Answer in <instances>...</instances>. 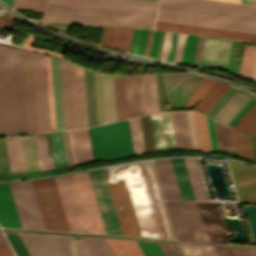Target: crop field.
<instances>
[{
    "mask_svg": "<svg viewBox=\"0 0 256 256\" xmlns=\"http://www.w3.org/2000/svg\"><path fill=\"white\" fill-rule=\"evenodd\" d=\"M28 133L37 132L31 52L21 50Z\"/></svg>",
    "mask_w": 256,
    "mask_h": 256,
    "instance_id": "733c2abd",
    "label": "crop field"
},
{
    "mask_svg": "<svg viewBox=\"0 0 256 256\" xmlns=\"http://www.w3.org/2000/svg\"><path fill=\"white\" fill-rule=\"evenodd\" d=\"M164 256H183L176 244H161L158 243Z\"/></svg>",
    "mask_w": 256,
    "mask_h": 256,
    "instance_id": "1d79db26",
    "label": "crop field"
},
{
    "mask_svg": "<svg viewBox=\"0 0 256 256\" xmlns=\"http://www.w3.org/2000/svg\"><path fill=\"white\" fill-rule=\"evenodd\" d=\"M182 200H195L183 158L171 159Z\"/></svg>",
    "mask_w": 256,
    "mask_h": 256,
    "instance_id": "eef30255",
    "label": "crop field"
},
{
    "mask_svg": "<svg viewBox=\"0 0 256 256\" xmlns=\"http://www.w3.org/2000/svg\"><path fill=\"white\" fill-rule=\"evenodd\" d=\"M115 256H143L136 241L106 239Z\"/></svg>",
    "mask_w": 256,
    "mask_h": 256,
    "instance_id": "5866460e",
    "label": "crop field"
},
{
    "mask_svg": "<svg viewBox=\"0 0 256 256\" xmlns=\"http://www.w3.org/2000/svg\"><path fill=\"white\" fill-rule=\"evenodd\" d=\"M55 179L69 230L106 234L89 173L73 174Z\"/></svg>",
    "mask_w": 256,
    "mask_h": 256,
    "instance_id": "ac0d7876",
    "label": "crop field"
},
{
    "mask_svg": "<svg viewBox=\"0 0 256 256\" xmlns=\"http://www.w3.org/2000/svg\"><path fill=\"white\" fill-rule=\"evenodd\" d=\"M220 150H235L230 127L215 120Z\"/></svg>",
    "mask_w": 256,
    "mask_h": 256,
    "instance_id": "b54c1fbb",
    "label": "crop field"
},
{
    "mask_svg": "<svg viewBox=\"0 0 256 256\" xmlns=\"http://www.w3.org/2000/svg\"><path fill=\"white\" fill-rule=\"evenodd\" d=\"M129 123H130L134 153L137 154V153L145 152L139 117L130 119Z\"/></svg>",
    "mask_w": 256,
    "mask_h": 256,
    "instance_id": "5d738f31",
    "label": "crop field"
},
{
    "mask_svg": "<svg viewBox=\"0 0 256 256\" xmlns=\"http://www.w3.org/2000/svg\"><path fill=\"white\" fill-rule=\"evenodd\" d=\"M186 114H187V120H188V125H189L192 148H193V150L198 151L196 137H195V131H194V125H193V119H192V113H191V111H188V112H186Z\"/></svg>",
    "mask_w": 256,
    "mask_h": 256,
    "instance_id": "7b73153f",
    "label": "crop field"
},
{
    "mask_svg": "<svg viewBox=\"0 0 256 256\" xmlns=\"http://www.w3.org/2000/svg\"><path fill=\"white\" fill-rule=\"evenodd\" d=\"M27 133L20 50L0 45V135Z\"/></svg>",
    "mask_w": 256,
    "mask_h": 256,
    "instance_id": "8a807250",
    "label": "crop field"
},
{
    "mask_svg": "<svg viewBox=\"0 0 256 256\" xmlns=\"http://www.w3.org/2000/svg\"><path fill=\"white\" fill-rule=\"evenodd\" d=\"M107 122L116 121L112 76L103 74Z\"/></svg>",
    "mask_w": 256,
    "mask_h": 256,
    "instance_id": "c21b1889",
    "label": "crop field"
},
{
    "mask_svg": "<svg viewBox=\"0 0 256 256\" xmlns=\"http://www.w3.org/2000/svg\"><path fill=\"white\" fill-rule=\"evenodd\" d=\"M219 256H234L230 247L214 246Z\"/></svg>",
    "mask_w": 256,
    "mask_h": 256,
    "instance_id": "c39391a2",
    "label": "crop field"
},
{
    "mask_svg": "<svg viewBox=\"0 0 256 256\" xmlns=\"http://www.w3.org/2000/svg\"><path fill=\"white\" fill-rule=\"evenodd\" d=\"M256 47L245 46L239 73L250 78Z\"/></svg>",
    "mask_w": 256,
    "mask_h": 256,
    "instance_id": "425ffa30",
    "label": "crop field"
},
{
    "mask_svg": "<svg viewBox=\"0 0 256 256\" xmlns=\"http://www.w3.org/2000/svg\"><path fill=\"white\" fill-rule=\"evenodd\" d=\"M11 173L25 172L19 138L6 139Z\"/></svg>",
    "mask_w": 256,
    "mask_h": 256,
    "instance_id": "d32e631a",
    "label": "crop field"
},
{
    "mask_svg": "<svg viewBox=\"0 0 256 256\" xmlns=\"http://www.w3.org/2000/svg\"><path fill=\"white\" fill-rule=\"evenodd\" d=\"M155 28L173 30V31H179V32H186V33H193V34H200V35H207V36H214V37H221V38L234 39V40H241V41H248V42H255L256 43V35H250V34L229 32V31H222V30H215V29H208V28H201V27H194V26H187V25H180V24H173V23H166V22H159V21H156Z\"/></svg>",
    "mask_w": 256,
    "mask_h": 256,
    "instance_id": "92a150f3",
    "label": "crop field"
},
{
    "mask_svg": "<svg viewBox=\"0 0 256 256\" xmlns=\"http://www.w3.org/2000/svg\"><path fill=\"white\" fill-rule=\"evenodd\" d=\"M229 163L239 202H256V167L233 161Z\"/></svg>",
    "mask_w": 256,
    "mask_h": 256,
    "instance_id": "5142ce71",
    "label": "crop field"
},
{
    "mask_svg": "<svg viewBox=\"0 0 256 256\" xmlns=\"http://www.w3.org/2000/svg\"><path fill=\"white\" fill-rule=\"evenodd\" d=\"M158 0H49L48 4L156 12Z\"/></svg>",
    "mask_w": 256,
    "mask_h": 256,
    "instance_id": "cbeb9de0",
    "label": "crop field"
},
{
    "mask_svg": "<svg viewBox=\"0 0 256 256\" xmlns=\"http://www.w3.org/2000/svg\"><path fill=\"white\" fill-rule=\"evenodd\" d=\"M2 1H4L6 4H8L11 7L13 6L14 0H2Z\"/></svg>",
    "mask_w": 256,
    "mask_h": 256,
    "instance_id": "819c52e7",
    "label": "crop field"
},
{
    "mask_svg": "<svg viewBox=\"0 0 256 256\" xmlns=\"http://www.w3.org/2000/svg\"><path fill=\"white\" fill-rule=\"evenodd\" d=\"M38 132L50 131L44 55L33 53Z\"/></svg>",
    "mask_w": 256,
    "mask_h": 256,
    "instance_id": "28ad6ade",
    "label": "crop field"
},
{
    "mask_svg": "<svg viewBox=\"0 0 256 256\" xmlns=\"http://www.w3.org/2000/svg\"><path fill=\"white\" fill-rule=\"evenodd\" d=\"M98 125L105 123L101 75L94 72Z\"/></svg>",
    "mask_w": 256,
    "mask_h": 256,
    "instance_id": "25e5ab78",
    "label": "crop field"
},
{
    "mask_svg": "<svg viewBox=\"0 0 256 256\" xmlns=\"http://www.w3.org/2000/svg\"><path fill=\"white\" fill-rule=\"evenodd\" d=\"M113 81L117 121L145 114L142 76H113Z\"/></svg>",
    "mask_w": 256,
    "mask_h": 256,
    "instance_id": "e52e79f7",
    "label": "crop field"
},
{
    "mask_svg": "<svg viewBox=\"0 0 256 256\" xmlns=\"http://www.w3.org/2000/svg\"><path fill=\"white\" fill-rule=\"evenodd\" d=\"M236 90H237V88H234V87L230 86L224 92V94L211 106V108L205 113V115H208V116L212 117L218 111V109L231 97V95Z\"/></svg>",
    "mask_w": 256,
    "mask_h": 256,
    "instance_id": "1f2cbd36",
    "label": "crop field"
},
{
    "mask_svg": "<svg viewBox=\"0 0 256 256\" xmlns=\"http://www.w3.org/2000/svg\"><path fill=\"white\" fill-rule=\"evenodd\" d=\"M160 187L165 199L181 200L170 159L154 161Z\"/></svg>",
    "mask_w": 256,
    "mask_h": 256,
    "instance_id": "dafd665d",
    "label": "crop field"
},
{
    "mask_svg": "<svg viewBox=\"0 0 256 256\" xmlns=\"http://www.w3.org/2000/svg\"><path fill=\"white\" fill-rule=\"evenodd\" d=\"M22 228L44 230L30 181L9 183Z\"/></svg>",
    "mask_w": 256,
    "mask_h": 256,
    "instance_id": "5a996713",
    "label": "crop field"
},
{
    "mask_svg": "<svg viewBox=\"0 0 256 256\" xmlns=\"http://www.w3.org/2000/svg\"><path fill=\"white\" fill-rule=\"evenodd\" d=\"M256 101V98L253 96L247 104L234 116V118L228 123L230 126H234L236 122L244 115V113L253 105Z\"/></svg>",
    "mask_w": 256,
    "mask_h": 256,
    "instance_id": "447ae74e",
    "label": "crop field"
},
{
    "mask_svg": "<svg viewBox=\"0 0 256 256\" xmlns=\"http://www.w3.org/2000/svg\"><path fill=\"white\" fill-rule=\"evenodd\" d=\"M241 3L254 5L253 0H241Z\"/></svg>",
    "mask_w": 256,
    "mask_h": 256,
    "instance_id": "1f1604b0",
    "label": "crop field"
},
{
    "mask_svg": "<svg viewBox=\"0 0 256 256\" xmlns=\"http://www.w3.org/2000/svg\"><path fill=\"white\" fill-rule=\"evenodd\" d=\"M39 0H15L14 7L16 8H28L37 9Z\"/></svg>",
    "mask_w": 256,
    "mask_h": 256,
    "instance_id": "0765c3eb",
    "label": "crop field"
},
{
    "mask_svg": "<svg viewBox=\"0 0 256 256\" xmlns=\"http://www.w3.org/2000/svg\"><path fill=\"white\" fill-rule=\"evenodd\" d=\"M135 216L142 236L158 237L138 175L125 178ZM124 180L109 182V188L123 235L141 236Z\"/></svg>",
    "mask_w": 256,
    "mask_h": 256,
    "instance_id": "34b2d1b8",
    "label": "crop field"
},
{
    "mask_svg": "<svg viewBox=\"0 0 256 256\" xmlns=\"http://www.w3.org/2000/svg\"><path fill=\"white\" fill-rule=\"evenodd\" d=\"M0 226L21 228L8 183L0 184Z\"/></svg>",
    "mask_w": 256,
    "mask_h": 256,
    "instance_id": "00972430",
    "label": "crop field"
},
{
    "mask_svg": "<svg viewBox=\"0 0 256 256\" xmlns=\"http://www.w3.org/2000/svg\"><path fill=\"white\" fill-rule=\"evenodd\" d=\"M51 131L55 130L50 57L45 55Z\"/></svg>",
    "mask_w": 256,
    "mask_h": 256,
    "instance_id": "89e229c0",
    "label": "crop field"
},
{
    "mask_svg": "<svg viewBox=\"0 0 256 256\" xmlns=\"http://www.w3.org/2000/svg\"><path fill=\"white\" fill-rule=\"evenodd\" d=\"M47 9L155 17L156 13L48 5Z\"/></svg>",
    "mask_w": 256,
    "mask_h": 256,
    "instance_id": "0bd39190",
    "label": "crop field"
},
{
    "mask_svg": "<svg viewBox=\"0 0 256 256\" xmlns=\"http://www.w3.org/2000/svg\"><path fill=\"white\" fill-rule=\"evenodd\" d=\"M20 139L26 171L40 170L34 136L20 137Z\"/></svg>",
    "mask_w": 256,
    "mask_h": 256,
    "instance_id": "1d83c4d3",
    "label": "crop field"
},
{
    "mask_svg": "<svg viewBox=\"0 0 256 256\" xmlns=\"http://www.w3.org/2000/svg\"><path fill=\"white\" fill-rule=\"evenodd\" d=\"M161 31L155 30L149 57L155 58Z\"/></svg>",
    "mask_w": 256,
    "mask_h": 256,
    "instance_id": "d14b1444",
    "label": "crop field"
},
{
    "mask_svg": "<svg viewBox=\"0 0 256 256\" xmlns=\"http://www.w3.org/2000/svg\"><path fill=\"white\" fill-rule=\"evenodd\" d=\"M17 256H29L25 246L23 245L17 233L6 234Z\"/></svg>",
    "mask_w": 256,
    "mask_h": 256,
    "instance_id": "dbb93151",
    "label": "crop field"
},
{
    "mask_svg": "<svg viewBox=\"0 0 256 256\" xmlns=\"http://www.w3.org/2000/svg\"><path fill=\"white\" fill-rule=\"evenodd\" d=\"M165 202L176 239L207 242L195 202Z\"/></svg>",
    "mask_w": 256,
    "mask_h": 256,
    "instance_id": "dd49c442",
    "label": "crop field"
},
{
    "mask_svg": "<svg viewBox=\"0 0 256 256\" xmlns=\"http://www.w3.org/2000/svg\"><path fill=\"white\" fill-rule=\"evenodd\" d=\"M144 165L147 175L141 176V179L150 205L158 236L164 238H172L152 170L151 162H144Z\"/></svg>",
    "mask_w": 256,
    "mask_h": 256,
    "instance_id": "d1516ede",
    "label": "crop field"
},
{
    "mask_svg": "<svg viewBox=\"0 0 256 256\" xmlns=\"http://www.w3.org/2000/svg\"><path fill=\"white\" fill-rule=\"evenodd\" d=\"M253 256H256V249H250Z\"/></svg>",
    "mask_w": 256,
    "mask_h": 256,
    "instance_id": "c821d689",
    "label": "crop field"
},
{
    "mask_svg": "<svg viewBox=\"0 0 256 256\" xmlns=\"http://www.w3.org/2000/svg\"><path fill=\"white\" fill-rule=\"evenodd\" d=\"M159 6L256 19V7L212 0H160Z\"/></svg>",
    "mask_w": 256,
    "mask_h": 256,
    "instance_id": "d8731c3e",
    "label": "crop field"
},
{
    "mask_svg": "<svg viewBox=\"0 0 256 256\" xmlns=\"http://www.w3.org/2000/svg\"><path fill=\"white\" fill-rule=\"evenodd\" d=\"M54 166L67 164L62 131L49 133Z\"/></svg>",
    "mask_w": 256,
    "mask_h": 256,
    "instance_id": "b80d0937",
    "label": "crop field"
},
{
    "mask_svg": "<svg viewBox=\"0 0 256 256\" xmlns=\"http://www.w3.org/2000/svg\"><path fill=\"white\" fill-rule=\"evenodd\" d=\"M196 200H207L194 158H184Z\"/></svg>",
    "mask_w": 256,
    "mask_h": 256,
    "instance_id": "e1f06a70",
    "label": "crop field"
},
{
    "mask_svg": "<svg viewBox=\"0 0 256 256\" xmlns=\"http://www.w3.org/2000/svg\"><path fill=\"white\" fill-rule=\"evenodd\" d=\"M208 242L228 243L216 202H196Z\"/></svg>",
    "mask_w": 256,
    "mask_h": 256,
    "instance_id": "d9b57169",
    "label": "crop field"
},
{
    "mask_svg": "<svg viewBox=\"0 0 256 256\" xmlns=\"http://www.w3.org/2000/svg\"><path fill=\"white\" fill-rule=\"evenodd\" d=\"M156 151L176 149L170 112L150 115Z\"/></svg>",
    "mask_w": 256,
    "mask_h": 256,
    "instance_id": "bc2a9ffb",
    "label": "crop field"
},
{
    "mask_svg": "<svg viewBox=\"0 0 256 256\" xmlns=\"http://www.w3.org/2000/svg\"><path fill=\"white\" fill-rule=\"evenodd\" d=\"M199 36L187 34L181 63L192 64Z\"/></svg>",
    "mask_w": 256,
    "mask_h": 256,
    "instance_id": "73cf0c24",
    "label": "crop field"
},
{
    "mask_svg": "<svg viewBox=\"0 0 256 256\" xmlns=\"http://www.w3.org/2000/svg\"><path fill=\"white\" fill-rule=\"evenodd\" d=\"M235 256H252L249 249L231 247Z\"/></svg>",
    "mask_w": 256,
    "mask_h": 256,
    "instance_id": "c5b07064",
    "label": "crop field"
},
{
    "mask_svg": "<svg viewBox=\"0 0 256 256\" xmlns=\"http://www.w3.org/2000/svg\"><path fill=\"white\" fill-rule=\"evenodd\" d=\"M77 162L83 163L93 159L87 128L72 130Z\"/></svg>",
    "mask_w": 256,
    "mask_h": 256,
    "instance_id": "ae1a2a85",
    "label": "crop field"
},
{
    "mask_svg": "<svg viewBox=\"0 0 256 256\" xmlns=\"http://www.w3.org/2000/svg\"><path fill=\"white\" fill-rule=\"evenodd\" d=\"M89 256H114L105 239L88 238L81 240Z\"/></svg>",
    "mask_w": 256,
    "mask_h": 256,
    "instance_id": "c035e120",
    "label": "crop field"
},
{
    "mask_svg": "<svg viewBox=\"0 0 256 256\" xmlns=\"http://www.w3.org/2000/svg\"><path fill=\"white\" fill-rule=\"evenodd\" d=\"M152 32H153V30H150V29H149V31H148V37H147V42H146V47H145V53H144L145 56H147V53H148V49H149V45H150V40H151Z\"/></svg>",
    "mask_w": 256,
    "mask_h": 256,
    "instance_id": "180be81f",
    "label": "crop field"
},
{
    "mask_svg": "<svg viewBox=\"0 0 256 256\" xmlns=\"http://www.w3.org/2000/svg\"><path fill=\"white\" fill-rule=\"evenodd\" d=\"M67 133H68V139H69V145H70L72 163H73V165H77V164H76V160H75V153H74V147H73V140H72V133H71V130L67 131Z\"/></svg>",
    "mask_w": 256,
    "mask_h": 256,
    "instance_id": "c3a83c6f",
    "label": "crop field"
},
{
    "mask_svg": "<svg viewBox=\"0 0 256 256\" xmlns=\"http://www.w3.org/2000/svg\"><path fill=\"white\" fill-rule=\"evenodd\" d=\"M88 126L97 125L93 72L84 68Z\"/></svg>",
    "mask_w": 256,
    "mask_h": 256,
    "instance_id": "750c4746",
    "label": "crop field"
},
{
    "mask_svg": "<svg viewBox=\"0 0 256 256\" xmlns=\"http://www.w3.org/2000/svg\"><path fill=\"white\" fill-rule=\"evenodd\" d=\"M65 129L72 128L67 62L60 60Z\"/></svg>",
    "mask_w": 256,
    "mask_h": 256,
    "instance_id": "120bbe31",
    "label": "crop field"
},
{
    "mask_svg": "<svg viewBox=\"0 0 256 256\" xmlns=\"http://www.w3.org/2000/svg\"><path fill=\"white\" fill-rule=\"evenodd\" d=\"M134 28L106 26L102 44L128 52Z\"/></svg>",
    "mask_w": 256,
    "mask_h": 256,
    "instance_id": "a9b5d70f",
    "label": "crop field"
},
{
    "mask_svg": "<svg viewBox=\"0 0 256 256\" xmlns=\"http://www.w3.org/2000/svg\"><path fill=\"white\" fill-rule=\"evenodd\" d=\"M171 34H172V32H169V31H166V33H165V37H164V41H163V45H162V49H161V53H160V57H159L160 60L165 61V59H166Z\"/></svg>",
    "mask_w": 256,
    "mask_h": 256,
    "instance_id": "0f1d7ab4",
    "label": "crop field"
},
{
    "mask_svg": "<svg viewBox=\"0 0 256 256\" xmlns=\"http://www.w3.org/2000/svg\"><path fill=\"white\" fill-rule=\"evenodd\" d=\"M89 130L95 161L123 159L133 155L126 120Z\"/></svg>",
    "mask_w": 256,
    "mask_h": 256,
    "instance_id": "412701ff",
    "label": "crop field"
},
{
    "mask_svg": "<svg viewBox=\"0 0 256 256\" xmlns=\"http://www.w3.org/2000/svg\"><path fill=\"white\" fill-rule=\"evenodd\" d=\"M146 114L159 111L156 75L143 76Z\"/></svg>",
    "mask_w": 256,
    "mask_h": 256,
    "instance_id": "bd1437ed",
    "label": "crop field"
},
{
    "mask_svg": "<svg viewBox=\"0 0 256 256\" xmlns=\"http://www.w3.org/2000/svg\"><path fill=\"white\" fill-rule=\"evenodd\" d=\"M186 34L180 33L173 62L180 63Z\"/></svg>",
    "mask_w": 256,
    "mask_h": 256,
    "instance_id": "78b8030e",
    "label": "crop field"
},
{
    "mask_svg": "<svg viewBox=\"0 0 256 256\" xmlns=\"http://www.w3.org/2000/svg\"><path fill=\"white\" fill-rule=\"evenodd\" d=\"M200 76L190 73L163 75L167 100L187 101Z\"/></svg>",
    "mask_w": 256,
    "mask_h": 256,
    "instance_id": "4a817a6b",
    "label": "crop field"
},
{
    "mask_svg": "<svg viewBox=\"0 0 256 256\" xmlns=\"http://www.w3.org/2000/svg\"><path fill=\"white\" fill-rule=\"evenodd\" d=\"M73 128L87 127L83 68L68 63Z\"/></svg>",
    "mask_w": 256,
    "mask_h": 256,
    "instance_id": "22f410ed",
    "label": "crop field"
},
{
    "mask_svg": "<svg viewBox=\"0 0 256 256\" xmlns=\"http://www.w3.org/2000/svg\"><path fill=\"white\" fill-rule=\"evenodd\" d=\"M231 41L205 37L199 65L225 69Z\"/></svg>",
    "mask_w": 256,
    "mask_h": 256,
    "instance_id": "214f88e0",
    "label": "crop field"
},
{
    "mask_svg": "<svg viewBox=\"0 0 256 256\" xmlns=\"http://www.w3.org/2000/svg\"><path fill=\"white\" fill-rule=\"evenodd\" d=\"M90 177L107 234L122 235L104 170L91 171Z\"/></svg>",
    "mask_w": 256,
    "mask_h": 256,
    "instance_id": "3316defc",
    "label": "crop field"
},
{
    "mask_svg": "<svg viewBox=\"0 0 256 256\" xmlns=\"http://www.w3.org/2000/svg\"><path fill=\"white\" fill-rule=\"evenodd\" d=\"M207 120H208L212 150H213V152H219L214 120L210 119L208 117H207Z\"/></svg>",
    "mask_w": 256,
    "mask_h": 256,
    "instance_id": "9d1cf04e",
    "label": "crop field"
},
{
    "mask_svg": "<svg viewBox=\"0 0 256 256\" xmlns=\"http://www.w3.org/2000/svg\"><path fill=\"white\" fill-rule=\"evenodd\" d=\"M0 256H15L4 235H0Z\"/></svg>",
    "mask_w": 256,
    "mask_h": 256,
    "instance_id": "db79e9e6",
    "label": "crop field"
},
{
    "mask_svg": "<svg viewBox=\"0 0 256 256\" xmlns=\"http://www.w3.org/2000/svg\"><path fill=\"white\" fill-rule=\"evenodd\" d=\"M251 79L256 81V58H255V63H254Z\"/></svg>",
    "mask_w": 256,
    "mask_h": 256,
    "instance_id": "f0312440",
    "label": "crop field"
},
{
    "mask_svg": "<svg viewBox=\"0 0 256 256\" xmlns=\"http://www.w3.org/2000/svg\"><path fill=\"white\" fill-rule=\"evenodd\" d=\"M141 31L142 29L135 28L129 52L136 54Z\"/></svg>",
    "mask_w": 256,
    "mask_h": 256,
    "instance_id": "ae633e8c",
    "label": "crop field"
},
{
    "mask_svg": "<svg viewBox=\"0 0 256 256\" xmlns=\"http://www.w3.org/2000/svg\"><path fill=\"white\" fill-rule=\"evenodd\" d=\"M179 33L173 32L166 61L172 62Z\"/></svg>",
    "mask_w": 256,
    "mask_h": 256,
    "instance_id": "e1d0b9f6",
    "label": "crop field"
},
{
    "mask_svg": "<svg viewBox=\"0 0 256 256\" xmlns=\"http://www.w3.org/2000/svg\"><path fill=\"white\" fill-rule=\"evenodd\" d=\"M35 138H36L41 171L53 169L54 167H53L52 159L49 154L46 136L39 135V136H35Z\"/></svg>",
    "mask_w": 256,
    "mask_h": 256,
    "instance_id": "03da06ac",
    "label": "crop field"
},
{
    "mask_svg": "<svg viewBox=\"0 0 256 256\" xmlns=\"http://www.w3.org/2000/svg\"><path fill=\"white\" fill-rule=\"evenodd\" d=\"M56 130L64 129L59 60L51 57Z\"/></svg>",
    "mask_w": 256,
    "mask_h": 256,
    "instance_id": "730fd06b",
    "label": "crop field"
},
{
    "mask_svg": "<svg viewBox=\"0 0 256 256\" xmlns=\"http://www.w3.org/2000/svg\"><path fill=\"white\" fill-rule=\"evenodd\" d=\"M144 256H163L157 243L137 241Z\"/></svg>",
    "mask_w": 256,
    "mask_h": 256,
    "instance_id": "0fb4a251",
    "label": "crop field"
},
{
    "mask_svg": "<svg viewBox=\"0 0 256 256\" xmlns=\"http://www.w3.org/2000/svg\"><path fill=\"white\" fill-rule=\"evenodd\" d=\"M156 20L256 34V20L159 7Z\"/></svg>",
    "mask_w": 256,
    "mask_h": 256,
    "instance_id": "f4fd0767",
    "label": "crop field"
},
{
    "mask_svg": "<svg viewBox=\"0 0 256 256\" xmlns=\"http://www.w3.org/2000/svg\"><path fill=\"white\" fill-rule=\"evenodd\" d=\"M252 96L250 93L238 89L213 118L227 124Z\"/></svg>",
    "mask_w": 256,
    "mask_h": 256,
    "instance_id": "4177f3b9",
    "label": "crop field"
},
{
    "mask_svg": "<svg viewBox=\"0 0 256 256\" xmlns=\"http://www.w3.org/2000/svg\"><path fill=\"white\" fill-rule=\"evenodd\" d=\"M177 148H191L185 112H171Z\"/></svg>",
    "mask_w": 256,
    "mask_h": 256,
    "instance_id": "d3111659",
    "label": "crop field"
},
{
    "mask_svg": "<svg viewBox=\"0 0 256 256\" xmlns=\"http://www.w3.org/2000/svg\"><path fill=\"white\" fill-rule=\"evenodd\" d=\"M214 80L201 77L184 109L191 108L213 84ZM215 83V82H214ZM210 89V88H209ZM205 95V94H204Z\"/></svg>",
    "mask_w": 256,
    "mask_h": 256,
    "instance_id": "d23c7cc5",
    "label": "crop field"
},
{
    "mask_svg": "<svg viewBox=\"0 0 256 256\" xmlns=\"http://www.w3.org/2000/svg\"><path fill=\"white\" fill-rule=\"evenodd\" d=\"M222 1H229V2H236V3H239V0H222Z\"/></svg>",
    "mask_w": 256,
    "mask_h": 256,
    "instance_id": "a0ae1fb6",
    "label": "crop field"
},
{
    "mask_svg": "<svg viewBox=\"0 0 256 256\" xmlns=\"http://www.w3.org/2000/svg\"><path fill=\"white\" fill-rule=\"evenodd\" d=\"M199 149L211 150L206 117L192 111Z\"/></svg>",
    "mask_w": 256,
    "mask_h": 256,
    "instance_id": "028f5c9d",
    "label": "crop field"
},
{
    "mask_svg": "<svg viewBox=\"0 0 256 256\" xmlns=\"http://www.w3.org/2000/svg\"><path fill=\"white\" fill-rule=\"evenodd\" d=\"M13 18L14 17L10 16L9 14H6L4 19L0 18V26L9 28Z\"/></svg>",
    "mask_w": 256,
    "mask_h": 256,
    "instance_id": "fb207236",
    "label": "crop field"
},
{
    "mask_svg": "<svg viewBox=\"0 0 256 256\" xmlns=\"http://www.w3.org/2000/svg\"><path fill=\"white\" fill-rule=\"evenodd\" d=\"M204 253L206 256H218L213 248V246H206V245H201Z\"/></svg>",
    "mask_w": 256,
    "mask_h": 256,
    "instance_id": "7312dd0a",
    "label": "crop field"
},
{
    "mask_svg": "<svg viewBox=\"0 0 256 256\" xmlns=\"http://www.w3.org/2000/svg\"><path fill=\"white\" fill-rule=\"evenodd\" d=\"M148 29H143L137 54L143 55Z\"/></svg>",
    "mask_w": 256,
    "mask_h": 256,
    "instance_id": "ade564c9",
    "label": "crop field"
}]
</instances>
